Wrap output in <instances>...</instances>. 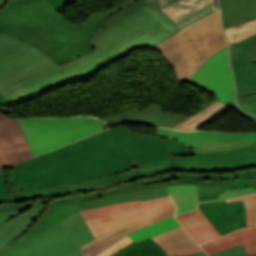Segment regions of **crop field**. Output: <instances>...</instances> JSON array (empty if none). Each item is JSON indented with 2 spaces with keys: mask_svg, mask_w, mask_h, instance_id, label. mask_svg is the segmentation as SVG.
<instances>
[{
  "mask_svg": "<svg viewBox=\"0 0 256 256\" xmlns=\"http://www.w3.org/2000/svg\"><path fill=\"white\" fill-rule=\"evenodd\" d=\"M229 109L249 119L256 125V116L241 111L237 107L234 100L224 104H221L219 101H217L212 105L200 110L199 112L194 114L192 117L187 118L186 120H184L183 122L179 123L178 125L172 128L181 129V130H197L198 127L202 126L203 124L214 119L215 117L219 116L220 114L224 113Z\"/></svg>",
  "mask_w": 256,
  "mask_h": 256,
  "instance_id": "obj_23",
  "label": "crop field"
},
{
  "mask_svg": "<svg viewBox=\"0 0 256 256\" xmlns=\"http://www.w3.org/2000/svg\"><path fill=\"white\" fill-rule=\"evenodd\" d=\"M187 149L119 125L12 166L10 183L15 191L79 183L129 169L133 158L143 163Z\"/></svg>",
  "mask_w": 256,
  "mask_h": 256,
  "instance_id": "obj_1",
  "label": "crop field"
},
{
  "mask_svg": "<svg viewBox=\"0 0 256 256\" xmlns=\"http://www.w3.org/2000/svg\"><path fill=\"white\" fill-rule=\"evenodd\" d=\"M241 244L239 230L201 245L208 254ZM242 245V244H241Z\"/></svg>",
  "mask_w": 256,
  "mask_h": 256,
  "instance_id": "obj_34",
  "label": "crop field"
},
{
  "mask_svg": "<svg viewBox=\"0 0 256 256\" xmlns=\"http://www.w3.org/2000/svg\"><path fill=\"white\" fill-rule=\"evenodd\" d=\"M221 236L246 227L243 202L226 204L224 200L198 204Z\"/></svg>",
  "mask_w": 256,
  "mask_h": 256,
  "instance_id": "obj_18",
  "label": "crop field"
},
{
  "mask_svg": "<svg viewBox=\"0 0 256 256\" xmlns=\"http://www.w3.org/2000/svg\"><path fill=\"white\" fill-rule=\"evenodd\" d=\"M182 256H208V255L204 251H202L199 253L187 254V255H182Z\"/></svg>",
  "mask_w": 256,
  "mask_h": 256,
  "instance_id": "obj_44",
  "label": "crop field"
},
{
  "mask_svg": "<svg viewBox=\"0 0 256 256\" xmlns=\"http://www.w3.org/2000/svg\"><path fill=\"white\" fill-rule=\"evenodd\" d=\"M224 31L228 35L231 44L253 37L256 35V19L232 26Z\"/></svg>",
  "mask_w": 256,
  "mask_h": 256,
  "instance_id": "obj_32",
  "label": "crop field"
},
{
  "mask_svg": "<svg viewBox=\"0 0 256 256\" xmlns=\"http://www.w3.org/2000/svg\"><path fill=\"white\" fill-rule=\"evenodd\" d=\"M166 173L148 177L134 182L120 183L110 189L64 196L48 202L49 207L23 234L32 238L49 226L79 212L83 209L97 208L132 200H148L169 195L165 183ZM59 211V213H58Z\"/></svg>",
  "mask_w": 256,
  "mask_h": 256,
  "instance_id": "obj_5",
  "label": "crop field"
},
{
  "mask_svg": "<svg viewBox=\"0 0 256 256\" xmlns=\"http://www.w3.org/2000/svg\"><path fill=\"white\" fill-rule=\"evenodd\" d=\"M153 240L163 248L169 256H179L202 251L182 226L155 237Z\"/></svg>",
  "mask_w": 256,
  "mask_h": 256,
  "instance_id": "obj_24",
  "label": "crop field"
},
{
  "mask_svg": "<svg viewBox=\"0 0 256 256\" xmlns=\"http://www.w3.org/2000/svg\"><path fill=\"white\" fill-rule=\"evenodd\" d=\"M255 256H256V254H255Z\"/></svg>",
  "mask_w": 256,
  "mask_h": 256,
  "instance_id": "obj_49",
  "label": "crop field"
},
{
  "mask_svg": "<svg viewBox=\"0 0 256 256\" xmlns=\"http://www.w3.org/2000/svg\"><path fill=\"white\" fill-rule=\"evenodd\" d=\"M161 109L155 103L142 111L135 107L125 113L103 117L100 119L111 122H131L154 126L172 127L189 117L186 115L163 112L164 110L162 109V111Z\"/></svg>",
  "mask_w": 256,
  "mask_h": 256,
  "instance_id": "obj_20",
  "label": "crop field"
},
{
  "mask_svg": "<svg viewBox=\"0 0 256 256\" xmlns=\"http://www.w3.org/2000/svg\"><path fill=\"white\" fill-rule=\"evenodd\" d=\"M180 226L178 221L174 218V216L167 218L165 220H162L160 222H157L155 224H152L148 227H145L143 229L137 230L134 233L128 235L131 239L138 242L148 236L155 237L157 235H160L162 233L167 232L168 230H171L175 227Z\"/></svg>",
  "mask_w": 256,
  "mask_h": 256,
  "instance_id": "obj_30",
  "label": "crop field"
},
{
  "mask_svg": "<svg viewBox=\"0 0 256 256\" xmlns=\"http://www.w3.org/2000/svg\"><path fill=\"white\" fill-rule=\"evenodd\" d=\"M169 180H228L236 178L255 177L256 169L246 170L237 173L222 174H190V173H173L167 174Z\"/></svg>",
  "mask_w": 256,
  "mask_h": 256,
  "instance_id": "obj_29",
  "label": "crop field"
},
{
  "mask_svg": "<svg viewBox=\"0 0 256 256\" xmlns=\"http://www.w3.org/2000/svg\"><path fill=\"white\" fill-rule=\"evenodd\" d=\"M53 62L37 48L0 33V90Z\"/></svg>",
  "mask_w": 256,
  "mask_h": 256,
  "instance_id": "obj_10",
  "label": "crop field"
},
{
  "mask_svg": "<svg viewBox=\"0 0 256 256\" xmlns=\"http://www.w3.org/2000/svg\"><path fill=\"white\" fill-rule=\"evenodd\" d=\"M175 217L185 226L199 244L220 237L219 233L199 208L195 211L177 215Z\"/></svg>",
  "mask_w": 256,
  "mask_h": 256,
  "instance_id": "obj_26",
  "label": "crop field"
},
{
  "mask_svg": "<svg viewBox=\"0 0 256 256\" xmlns=\"http://www.w3.org/2000/svg\"><path fill=\"white\" fill-rule=\"evenodd\" d=\"M242 244L245 252L255 254L256 250V228L240 229Z\"/></svg>",
  "mask_w": 256,
  "mask_h": 256,
  "instance_id": "obj_36",
  "label": "crop field"
},
{
  "mask_svg": "<svg viewBox=\"0 0 256 256\" xmlns=\"http://www.w3.org/2000/svg\"><path fill=\"white\" fill-rule=\"evenodd\" d=\"M179 30L219 9L218 0H146Z\"/></svg>",
  "mask_w": 256,
  "mask_h": 256,
  "instance_id": "obj_15",
  "label": "crop field"
},
{
  "mask_svg": "<svg viewBox=\"0 0 256 256\" xmlns=\"http://www.w3.org/2000/svg\"><path fill=\"white\" fill-rule=\"evenodd\" d=\"M116 59L94 51L60 66L54 63L0 91V94L12 105L25 102L56 86L88 79Z\"/></svg>",
  "mask_w": 256,
  "mask_h": 256,
  "instance_id": "obj_6",
  "label": "crop field"
},
{
  "mask_svg": "<svg viewBox=\"0 0 256 256\" xmlns=\"http://www.w3.org/2000/svg\"><path fill=\"white\" fill-rule=\"evenodd\" d=\"M237 256H251V255L244 253V254H240V255H237Z\"/></svg>",
  "mask_w": 256,
  "mask_h": 256,
  "instance_id": "obj_46",
  "label": "crop field"
},
{
  "mask_svg": "<svg viewBox=\"0 0 256 256\" xmlns=\"http://www.w3.org/2000/svg\"><path fill=\"white\" fill-rule=\"evenodd\" d=\"M131 242H133V241L126 236L125 238H123L122 240L118 241L117 243H115L114 245L110 246L109 248H107L106 250L102 251L101 253H99L96 256H109V255L113 254L114 252L118 251L119 249L125 247L126 245H128Z\"/></svg>",
  "mask_w": 256,
  "mask_h": 256,
  "instance_id": "obj_38",
  "label": "crop field"
},
{
  "mask_svg": "<svg viewBox=\"0 0 256 256\" xmlns=\"http://www.w3.org/2000/svg\"><path fill=\"white\" fill-rule=\"evenodd\" d=\"M243 252H244V250L239 245V246L229 248V249L217 252V253L210 254V256H234L236 254L243 253Z\"/></svg>",
  "mask_w": 256,
  "mask_h": 256,
  "instance_id": "obj_42",
  "label": "crop field"
},
{
  "mask_svg": "<svg viewBox=\"0 0 256 256\" xmlns=\"http://www.w3.org/2000/svg\"><path fill=\"white\" fill-rule=\"evenodd\" d=\"M254 152H256V145H255L254 150H253V152H252V153H254Z\"/></svg>",
  "mask_w": 256,
  "mask_h": 256,
  "instance_id": "obj_48",
  "label": "crop field"
},
{
  "mask_svg": "<svg viewBox=\"0 0 256 256\" xmlns=\"http://www.w3.org/2000/svg\"><path fill=\"white\" fill-rule=\"evenodd\" d=\"M48 200L0 205V251L32 225L47 208L42 204Z\"/></svg>",
  "mask_w": 256,
  "mask_h": 256,
  "instance_id": "obj_14",
  "label": "crop field"
},
{
  "mask_svg": "<svg viewBox=\"0 0 256 256\" xmlns=\"http://www.w3.org/2000/svg\"><path fill=\"white\" fill-rule=\"evenodd\" d=\"M107 18L95 12L76 25L40 0L2 10L0 32L37 47L60 65L93 51L85 43Z\"/></svg>",
  "mask_w": 256,
  "mask_h": 256,
  "instance_id": "obj_2",
  "label": "crop field"
},
{
  "mask_svg": "<svg viewBox=\"0 0 256 256\" xmlns=\"http://www.w3.org/2000/svg\"><path fill=\"white\" fill-rule=\"evenodd\" d=\"M175 210H171V211L159 214L157 216L145 219V220L137 222L135 224L128 225V226L119 228L115 231H112L110 233H107V234L79 247L80 250L82 251V256H94L97 253L104 250L105 248L112 245L113 243L117 242L121 238L125 237L127 234H130L137 229L143 228L147 225H150L152 223H155L157 221H160L162 219H165L167 217L174 215Z\"/></svg>",
  "mask_w": 256,
  "mask_h": 256,
  "instance_id": "obj_22",
  "label": "crop field"
},
{
  "mask_svg": "<svg viewBox=\"0 0 256 256\" xmlns=\"http://www.w3.org/2000/svg\"><path fill=\"white\" fill-rule=\"evenodd\" d=\"M93 239L79 212L49 227L13 251L19 256H62Z\"/></svg>",
  "mask_w": 256,
  "mask_h": 256,
  "instance_id": "obj_8",
  "label": "crop field"
},
{
  "mask_svg": "<svg viewBox=\"0 0 256 256\" xmlns=\"http://www.w3.org/2000/svg\"><path fill=\"white\" fill-rule=\"evenodd\" d=\"M156 135L182 142L195 153L230 151L254 144L256 141V134L253 133L180 132L157 128Z\"/></svg>",
  "mask_w": 256,
  "mask_h": 256,
  "instance_id": "obj_11",
  "label": "crop field"
},
{
  "mask_svg": "<svg viewBox=\"0 0 256 256\" xmlns=\"http://www.w3.org/2000/svg\"><path fill=\"white\" fill-rule=\"evenodd\" d=\"M32 1H36V0H9L8 4L5 7L17 6V5L29 3ZM48 1L52 4V6L57 11H59V10L64 9L74 3H77L79 0H48ZM134 1H136V0H126L103 13L110 17L114 12L118 11L119 9L123 8L124 6L130 4ZM5 7H4V9H5Z\"/></svg>",
  "mask_w": 256,
  "mask_h": 256,
  "instance_id": "obj_33",
  "label": "crop field"
},
{
  "mask_svg": "<svg viewBox=\"0 0 256 256\" xmlns=\"http://www.w3.org/2000/svg\"><path fill=\"white\" fill-rule=\"evenodd\" d=\"M111 256H168L150 237L131 243Z\"/></svg>",
  "mask_w": 256,
  "mask_h": 256,
  "instance_id": "obj_28",
  "label": "crop field"
},
{
  "mask_svg": "<svg viewBox=\"0 0 256 256\" xmlns=\"http://www.w3.org/2000/svg\"><path fill=\"white\" fill-rule=\"evenodd\" d=\"M243 200L246 207L247 227L256 226V194L241 198L226 200L227 203Z\"/></svg>",
  "mask_w": 256,
  "mask_h": 256,
  "instance_id": "obj_35",
  "label": "crop field"
},
{
  "mask_svg": "<svg viewBox=\"0 0 256 256\" xmlns=\"http://www.w3.org/2000/svg\"><path fill=\"white\" fill-rule=\"evenodd\" d=\"M256 36L231 45L230 60L237 84V98L256 94Z\"/></svg>",
  "mask_w": 256,
  "mask_h": 256,
  "instance_id": "obj_16",
  "label": "crop field"
},
{
  "mask_svg": "<svg viewBox=\"0 0 256 256\" xmlns=\"http://www.w3.org/2000/svg\"><path fill=\"white\" fill-rule=\"evenodd\" d=\"M167 187L178 208L176 214L194 210L197 208V203L200 202L240 197L242 195L256 192V190H253L252 187L227 190L224 191V194H219V199L199 201L196 185H173Z\"/></svg>",
  "mask_w": 256,
  "mask_h": 256,
  "instance_id": "obj_21",
  "label": "crop field"
},
{
  "mask_svg": "<svg viewBox=\"0 0 256 256\" xmlns=\"http://www.w3.org/2000/svg\"><path fill=\"white\" fill-rule=\"evenodd\" d=\"M248 186H251L249 178L223 181V189L224 190L248 187Z\"/></svg>",
  "mask_w": 256,
  "mask_h": 256,
  "instance_id": "obj_39",
  "label": "crop field"
},
{
  "mask_svg": "<svg viewBox=\"0 0 256 256\" xmlns=\"http://www.w3.org/2000/svg\"><path fill=\"white\" fill-rule=\"evenodd\" d=\"M224 29L256 18V0H219Z\"/></svg>",
  "mask_w": 256,
  "mask_h": 256,
  "instance_id": "obj_25",
  "label": "crop field"
},
{
  "mask_svg": "<svg viewBox=\"0 0 256 256\" xmlns=\"http://www.w3.org/2000/svg\"><path fill=\"white\" fill-rule=\"evenodd\" d=\"M167 202H172L170 199V196L143 201V202H140L139 200H137V201L127 202V203H122V204H117V205H112V206H107V207H102L97 209L84 210V211H81V213L85 221H87L95 218H100L108 215H113V214H117L125 211L138 209V208L160 205Z\"/></svg>",
  "mask_w": 256,
  "mask_h": 256,
  "instance_id": "obj_27",
  "label": "crop field"
},
{
  "mask_svg": "<svg viewBox=\"0 0 256 256\" xmlns=\"http://www.w3.org/2000/svg\"><path fill=\"white\" fill-rule=\"evenodd\" d=\"M176 32L167 17L138 0L101 24L89 42L102 55L121 57L136 48H149Z\"/></svg>",
  "mask_w": 256,
  "mask_h": 256,
  "instance_id": "obj_3",
  "label": "crop field"
},
{
  "mask_svg": "<svg viewBox=\"0 0 256 256\" xmlns=\"http://www.w3.org/2000/svg\"><path fill=\"white\" fill-rule=\"evenodd\" d=\"M17 120L34 157L106 129L101 121L91 117Z\"/></svg>",
  "mask_w": 256,
  "mask_h": 256,
  "instance_id": "obj_7",
  "label": "crop field"
},
{
  "mask_svg": "<svg viewBox=\"0 0 256 256\" xmlns=\"http://www.w3.org/2000/svg\"><path fill=\"white\" fill-rule=\"evenodd\" d=\"M228 46L219 10L151 47L163 55L177 80L187 81L216 53ZM179 83V81H178Z\"/></svg>",
  "mask_w": 256,
  "mask_h": 256,
  "instance_id": "obj_4",
  "label": "crop field"
},
{
  "mask_svg": "<svg viewBox=\"0 0 256 256\" xmlns=\"http://www.w3.org/2000/svg\"><path fill=\"white\" fill-rule=\"evenodd\" d=\"M237 104L245 111L256 113V95L238 99Z\"/></svg>",
  "mask_w": 256,
  "mask_h": 256,
  "instance_id": "obj_37",
  "label": "crop field"
},
{
  "mask_svg": "<svg viewBox=\"0 0 256 256\" xmlns=\"http://www.w3.org/2000/svg\"><path fill=\"white\" fill-rule=\"evenodd\" d=\"M173 170L174 158L170 156L165 159L140 164L139 168L136 169H129L118 174L83 182L80 184L44 187L39 189L9 193V199L21 201L40 196H64L76 193L93 192L110 188L120 182L133 181L139 178L155 176L157 174Z\"/></svg>",
  "mask_w": 256,
  "mask_h": 256,
  "instance_id": "obj_9",
  "label": "crop field"
},
{
  "mask_svg": "<svg viewBox=\"0 0 256 256\" xmlns=\"http://www.w3.org/2000/svg\"><path fill=\"white\" fill-rule=\"evenodd\" d=\"M33 158L16 119L0 114V169Z\"/></svg>",
  "mask_w": 256,
  "mask_h": 256,
  "instance_id": "obj_17",
  "label": "crop field"
},
{
  "mask_svg": "<svg viewBox=\"0 0 256 256\" xmlns=\"http://www.w3.org/2000/svg\"><path fill=\"white\" fill-rule=\"evenodd\" d=\"M29 239H27L25 236L19 237L17 240H15L12 244H10L8 247H6L4 250L0 252V256H18L11 250L22 245L23 243L27 242Z\"/></svg>",
  "mask_w": 256,
  "mask_h": 256,
  "instance_id": "obj_40",
  "label": "crop field"
},
{
  "mask_svg": "<svg viewBox=\"0 0 256 256\" xmlns=\"http://www.w3.org/2000/svg\"><path fill=\"white\" fill-rule=\"evenodd\" d=\"M64 256H81V252H80V250L78 248V249H76V250H74V251H72V252H70V253H68V254H66Z\"/></svg>",
  "mask_w": 256,
  "mask_h": 256,
  "instance_id": "obj_43",
  "label": "crop field"
},
{
  "mask_svg": "<svg viewBox=\"0 0 256 256\" xmlns=\"http://www.w3.org/2000/svg\"><path fill=\"white\" fill-rule=\"evenodd\" d=\"M253 189H256V177L250 178Z\"/></svg>",
  "mask_w": 256,
  "mask_h": 256,
  "instance_id": "obj_45",
  "label": "crop field"
},
{
  "mask_svg": "<svg viewBox=\"0 0 256 256\" xmlns=\"http://www.w3.org/2000/svg\"><path fill=\"white\" fill-rule=\"evenodd\" d=\"M173 203H167L160 206L138 209L126 213L108 216L100 219L87 221V225L94 234L95 238L110 232L119 227L135 223L145 218L157 215L159 213L175 209Z\"/></svg>",
  "mask_w": 256,
  "mask_h": 256,
  "instance_id": "obj_19",
  "label": "crop field"
},
{
  "mask_svg": "<svg viewBox=\"0 0 256 256\" xmlns=\"http://www.w3.org/2000/svg\"><path fill=\"white\" fill-rule=\"evenodd\" d=\"M172 184H197L200 200L218 198V193H223L222 181H168L166 182V185H172Z\"/></svg>",
  "mask_w": 256,
  "mask_h": 256,
  "instance_id": "obj_31",
  "label": "crop field"
},
{
  "mask_svg": "<svg viewBox=\"0 0 256 256\" xmlns=\"http://www.w3.org/2000/svg\"><path fill=\"white\" fill-rule=\"evenodd\" d=\"M187 82L206 91L222 103L234 100L235 84L228 61V48L213 56Z\"/></svg>",
  "mask_w": 256,
  "mask_h": 256,
  "instance_id": "obj_12",
  "label": "crop field"
},
{
  "mask_svg": "<svg viewBox=\"0 0 256 256\" xmlns=\"http://www.w3.org/2000/svg\"><path fill=\"white\" fill-rule=\"evenodd\" d=\"M8 199V190L6 187V178L3 171H0V202H4Z\"/></svg>",
  "mask_w": 256,
  "mask_h": 256,
  "instance_id": "obj_41",
  "label": "crop field"
},
{
  "mask_svg": "<svg viewBox=\"0 0 256 256\" xmlns=\"http://www.w3.org/2000/svg\"><path fill=\"white\" fill-rule=\"evenodd\" d=\"M249 61L253 62L254 64H256V60L255 59H250Z\"/></svg>",
  "mask_w": 256,
  "mask_h": 256,
  "instance_id": "obj_47",
  "label": "crop field"
},
{
  "mask_svg": "<svg viewBox=\"0 0 256 256\" xmlns=\"http://www.w3.org/2000/svg\"><path fill=\"white\" fill-rule=\"evenodd\" d=\"M254 145L224 153H204L195 156H175V170H230L256 165V153L252 154Z\"/></svg>",
  "mask_w": 256,
  "mask_h": 256,
  "instance_id": "obj_13",
  "label": "crop field"
}]
</instances>
